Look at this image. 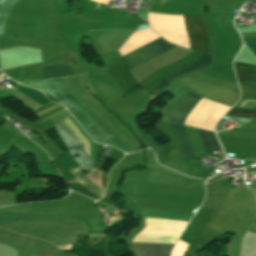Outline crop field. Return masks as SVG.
Instances as JSON below:
<instances>
[{"label": "crop field", "instance_id": "crop-field-3", "mask_svg": "<svg viewBox=\"0 0 256 256\" xmlns=\"http://www.w3.org/2000/svg\"><path fill=\"white\" fill-rule=\"evenodd\" d=\"M188 49L209 54V38L201 17L181 16Z\"/></svg>", "mask_w": 256, "mask_h": 256}, {"label": "crop field", "instance_id": "crop-field-12", "mask_svg": "<svg viewBox=\"0 0 256 256\" xmlns=\"http://www.w3.org/2000/svg\"><path fill=\"white\" fill-rule=\"evenodd\" d=\"M17 1L18 0H0V35H2L4 20Z\"/></svg>", "mask_w": 256, "mask_h": 256}, {"label": "crop field", "instance_id": "crop-field-14", "mask_svg": "<svg viewBox=\"0 0 256 256\" xmlns=\"http://www.w3.org/2000/svg\"><path fill=\"white\" fill-rule=\"evenodd\" d=\"M242 242L256 244V219L251 228L249 229L248 233L244 236Z\"/></svg>", "mask_w": 256, "mask_h": 256}, {"label": "crop field", "instance_id": "crop-field-1", "mask_svg": "<svg viewBox=\"0 0 256 256\" xmlns=\"http://www.w3.org/2000/svg\"><path fill=\"white\" fill-rule=\"evenodd\" d=\"M58 100L64 104L92 139L101 144L114 146L124 152H132L112 131H110L96 116H94L66 88L60 78L43 80ZM42 80L26 82L25 84L42 89L53 100L60 103ZM60 103V104H61Z\"/></svg>", "mask_w": 256, "mask_h": 256}, {"label": "crop field", "instance_id": "crop-field-4", "mask_svg": "<svg viewBox=\"0 0 256 256\" xmlns=\"http://www.w3.org/2000/svg\"><path fill=\"white\" fill-rule=\"evenodd\" d=\"M172 124V128L184 161L193 159V153L183 126ZM206 152L221 151L213 133L199 130Z\"/></svg>", "mask_w": 256, "mask_h": 256}, {"label": "crop field", "instance_id": "crop-field-11", "mask_svg": "<svg viewBox=\"0 0 256 256\" xmlns=\"http://www.w3.org/2000/svg\"><path fill=\"white\" fill-rule=\"evenodd\" d=\"M69 75H72V73L69 70L68 66H54V67L45 68L43 70L41 79L69 76Z\"/></svg>", "mask_w": 256, "mask_h": 256}, {"label": "crop field", "instance_id": "crop-field-8", "mask_svg": "<svg viewBox=\"0 0 256 256\" xmlns=\"http://www.w3.org/2000/svg\"><path fill=\"white\" fill-rule=\"evenodd\" d=\"M200 99V97L189 93L175 107L169 121L183 124L189 113L192 111V109L195 107Z\"/></svg>", "mask_w": 256, "mask_h": 256}, {"label": "crop field", "instance_id": "crop-field-10", "mask_svg": "<svg viewBox=\"0 0 256 256\" xmlns=\"http://www.w3.org/2000/svg\"><path fill=\"white\" fill-rule=\"evenodd\" d=\"M135 256H169L171 248L131 246Z\"/></svg>", "mask_w": 256, "mask_h": 256}, {"label": "crop field", "instance_id": "crop-field-7", "mask_svg": "<svg viewBox=\"0 0 256 256\" xmlns=\"http://www.w3.org/2000/svg\"><path fill=\"white\" fill-rule=\"evenodd\" d=\"M212 60V56H208V55H202V58L200 60H198L197 62H195L194 64H192L191 66L175 73L172 74L164 79H162L161 81H159L158 83H156L154 86H152L147 92L153 94V95H157L159 94L161 91H163L165 88L168 87V81L176 76H179L181 74L184 73H188V72H192L195 70H199V69H204V68H208L210 63Z\"/></svg>", "mask_w": 256, "mask_h": 256}, {"label": "crop field", "instance_id": "crop-field-17", "mask_svg": "<svg viewBox=\"0 0 256 256\" xmlns=\"http://www.w3.org/2000/svg\"><path fill=\"white\" fill-rule=\"evenodd\" d=\"M225 121H226L225 119H222V120L218 123V125H217V127H216V131H222V127H223V124H224Z\"/></svg>", "mask_w": 256, "mask_h": 256}, {"label": "crop field", "instance_id": "crop-field-16", "mask_svg": "<svg viewBox=\"0 0 256 256\" xmlns=\"http://www.w3.org/2000/svg\"><path fill=\"white\" fill-rule=\"evenodd\" d=\"M225 118L240 120V121H244V122H248L249 120H251V119H247V118H240V117H234V116H228V115H225Z\"/></svg>", "mask_w": 256, "mask_h": 256}, {"label": "crop field", "instance_id": "crop-field-2", "mask_svg": "<svg viewBox=\"0 0 256 256\" xmlns=\"http://www.w3.org/2000/svg\"><path fill=\"white\" fill-rule=\"evenodd\" d=\"M67 120L94 152V142L91 140V138L85 133V131L79 126V124L74 120L72 116L67 118ZM55 128L60 134L71 156L73 157V154L76 153L81 155L77 158L73 157L80 168L83 171L90 170L94 165L92 159L87 155V153L82 149V147L77 143V141L72 137V135L67 131L61 122L56 124Z\"/></svg>", "mask_w": 256, "mask_h": 256}, {"label": "crop field", "instance_id": "crop-field-6", "mask_svg": "<svg viewBox=\"0 0 256 256\" xmlns=\"http://www.w3.org/2000/svg\"><path fill=\"white\" fill-rule=\"evenodd\" d=\"M108 71L124 96L139 88L118 53L108 66Z\"/></svg>", "mask_w": 256, "mask_h": 256}, {"label": "crop field", "instance_id": "crop-field-9", "mask_svg": "<svg viewBox=\"0 0 256 256\" xmlns=\"http://www.w3.org/2000/svg\"><path fill=\"white\" fill-rule=\"evenodd\" d=\"M238 81L240 83L256 86V67L241 63H234Z\"/></svg>", "mask_w": 256, "mask_h": 256}, {"label": "crop field", "instance_id": "crop-field-13", "mask_svg": "<svg viewBox=\"0 0 256 256\" xmlns=\"http://www.w3.org/2000/svg\"><path fill=\"white\" fill-rule=\"evenodd\" d=\"M15 88L19 89L20 91L27 94L28 96H30L31 98H33L34 100L38 101L41 104L44 103L45 101H47L42 94H40L34 90L27 89L20 85L16 86Z\"/></svg>", "mask_w": 256, "mask_h": 256}, {"label": "crop field", "instance_id": "crop-field-15", "mask_svg": "<svg viewBox=\"0 0 256 256\" xmlns=\"http://www.w3.org/2000/svg\"><path fill=\"white\" fill-rule=\"evenodd\" d=\"M227 114L234 115V116H240V117L256 118V112L248 111V110L232 109Z\"/></svg>", "mask_w": 256, "mask_h": 256}, {"label": "crop field", "instance_id": "crop-field-5", "mask_svg": "<svg viewBox=\"0 0 256 256\" xmlns=\"http://www.w3.org/2000/svg\"><path fill=\"white\" fill-rule=\"evenodd\" d=\"M175 45L166 42L164 39H158L144 47H141L125 56L123 60L128 66L129 70L134 69L143 62L173 48Z\"/></svg>", "mask_w": 256, "mask_h": 256}, {"label": "crop field", "instance_id": "crop-field-18", "mask_svg": "<svg viewBox=\"0 0 256 256\" xmlns=\"http://www.w3.org/2000/svg\"><path fill=\"white\" fill-rule=\"evenodd\" d=\"M255 53V55H256V52H254Z\"/></svg>", "mask_w": 256, "mask_h": 256}]
</instances>
